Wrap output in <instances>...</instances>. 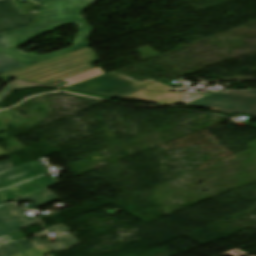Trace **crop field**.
I'll list each match as a JSON object with an SVG mask.
<instances>
[{"label": "crop field", "mask_w": 256, "mask_h": 256, "mask_svg": "<svg viewBox=\"0 0 256 256\" xmlns=\"http://www.w3.org/2000/svg\"><path fill=\"white\" fill-rule=\"evenodd\" d=\"M23 211H25V209L19 208L13 204H7L0 207V224L8 231V233L33 225L41 221L44 217L58 212L55 211L53 213L34 218L29 217Z\"/></svg>", "instance_id": "dd49c442"}, {"label": "crop field", "mask_w": 256, "mask_h": 256, "mask_svg": "<svg viewBox=\"0 0 256 256\" xmlns=\"http://www.w3.org/2000/svg\"><path fill=\"white\" fill-rule=\"evenodd\" d=\"M87 7L89 5L85 0H46L42 4L37 25L5 34L10 47L0 48V53L29 65L89 46L86 40L92 27H88L79 15ZM72 23L80 25V29L73 41L74 46L72 47L44 56H37L32 52L24 55L20 53L21 51L15 49L42 33Z\"/></svg>", "instance_id": "8a807250"}, {"label": "crop field", "mask_w": 256, "mask_h": 256, "mask_svg": "<svg viewBox=\"0 0 256 256\" xmlns=\"http://www.w3.org/2000/svg\"><path fill=\"white\" fill-rule=\"evenodd\" d=\"M58 241L54 243H47L43 241L42 239H34V240H19L17 241L18 244H20L24 251L32 249L34 247L43 245L49 249H51L53 252L61 251L67 249L69 246L78 243L71 235L66 237L57 238Z\"/></svg>", "instance_id": "3316defc"}, {"label": "crop field", "mask_w": 256, "mask_h": 256, "mask_svg": "<svg viewBox=\"0 0 256 256\" xmlns=\"http://www.w3.org/2000/svg\"><path fill=\"white\" fill-rule=\"evenodd\" d=\"M9 46L5 35H0V47ZM26 66L16 60H13L5 55L0 54V74Z\"/></svg>", "instance_id": "d1516ede"}, {"label": "crop field", "mask_w": 256, "mask_h": 256, "mask_svg": "<svg viewBox=\"0 0 256 256\" xmlns=\"http://www.w3.org/2000/svg\"><path fill=\"white\" fill-rule=\"evenodd\" d=\"M51 252L50 250L40 246V247H37V248H34L32 250H29V251H26L25 254L27 256H42L46 253H49Z\"/></svg>", "instance_id": "d9b57169"}, {"label": "crop field", "mask_w": 256, "mask_h": 256, "mask_svg": "<svg viewBox=\"0 0 256 256\" xmlns=\"http://www.w3.org/2000/svg\"><path fill=\"white\" fill-rule=\"evenodd\" d=\"M170 87L162 84L154 85L152 87L146 88L144 90H155V91H169ZM183 93H173V92H152V91H139L137 93L121 97L120 99H135L142 101L154 102L159 105L175 103L180 100Z\"/></svg>", "instance_id": "5a996713"}, {"label": "crop field", "mask_w": 256, "mask_h": 256, "mask_svg": "<svg viewBox=\"0 0 256 256\" xmlns=\"http://www.w3.org/2000/svg\"><path fill=\"white\" fill-rule=\"evenodd\" d=\"M100 75H103V72L101 71L100 67L94 68L89 71L74 75V76L66 78V79H63L64 81L70 83L63 87H67L69 85H72V84H75V83H78V82H81V81H84L87 79H91V78H94V77H97Z\"/></svg>", "instance_id": "cbeb9de0"}, {"label": "crop field", "mask_w": 256, "mask_h": 256, "mask_svg": "<svg viewBox=\"0 0 256 256\" xmlns=\"http://www.w3.org/2000/svg\"><path fill=\"white\" fill-rule=\"evenodd\" d=\"M188 105L205 107L225 113L243 109L250 115L256 116V90L231 91L213 93Z\"/></svg>", "instance_id": "34b2d1b8"}, {"label": "crop field", "mask_w": 256, "mask_h": 256, "mask_svg": "<svg viewBox=\"0 0 256 256\" xmlns=\"http://www.w3.org/2000/svg\"><path fill=\"white\" fill-rule=\"evenodd\" d=\"M37 14H22L13 0H0V33L34 25Z\"/></svg>", "instance_id": "f4fd0767"}, {"label": "crop field", "mask_w": 256, "mask_h": 256, "mask_svg": "<svg viewBox=\"0 0 256 256\" xmlns=\"http://www.w3.org/2000/svg\"><path fill=\"white\" fill-rule=\"evenodd\" d=\"M99 59L88 47L66 55L32 64L0 76L50 84L71 75L94 68Z\"/></svg>", "instance_id": "ac0d7876"}, {"label": "crop field", "mask_w": 256, "mask_h": 256, "mask_svg": "<svg viewBox=\"0 0 256 256\" xmlns=\"http://www.w3.org/2000/svg\"><path fill=\"white\" fill-rule=\"evenodd\" d=\"M11 241L12 240L8 235L0 237V245L6 244V243L11 242Z\"/></svg>", "instance_id": "bc2a9ffb"}, {"label": "crop field", "mask_w": 256, "mask_h": 256, "mask_svg": "<svg viewBox=\"0 0 256 256\" xmlns=\"http://www.w3.org/2000/svg\"><path fill=\"white\" fill-rule=\"evenodd\" d=\"M20 252L19 247L13 243L0 247V256H12Z\"/></svg>", "instance_id": "5142ce71"}, {"label": "crop field", "mask_w": 256, "mask_h": 256, "mask_svg": "<svg viewBox=\"0 0 256 256\" xmlns=\"http://www.w3.org/2000/svg\"><path fill=\"white\" fill-rule=\"evenodd\" d=\"M154 84H158V82L147 80L138 83L114 72H110L103 76L69 86L68 88L119 97Z\"/></svg>", "instance_id": "412701ff"}, {"label": "crop field", "mask_w": 256, "mask_h": 256, "mask_svg": "<svg viewBox=\"0 0 256 256\" xmlns=\"http://www.w3.org/2000/svg\"><path fill=\"white\" fill-rule=\"evenodd\" d=\"M37 161L19 166L15 169L0 174V189L10 187L24 180L47 173Z\"/></svg>", "instance_id": "e52e79f7"}, {"label": "crop field", "mask_w": 256, "mask_h": 256, "mask_svg": "<svg viewBox=\"0 0 256 256\" xmlns=\"http://www.w3.org/2000/svg\"><path fill=\"white\" fill-rule=\"evenodd\" d=\"M87 2H88V4L90 5V4H92L94 1H96V0H86Z\"/></svg>", "instance_id": "dafd665d"}, {"label": "crop field", "mask_w": 256, "mask_h": 256, "mask_svg": "<svg viewBox=\"0 0 256 256\" xmlns=\"http://www.w3.org/2000/svg\"><path fill=\"white\" fill-rule=\"evenodd\" d=\"M6 154L7 153L0 148V157L3 156V155H6Z\"/></svg>", "instance_id": "92a150f3"}, {"label": "crop field", "mask_w": 256, "mask_h": 256, "mask_svg": "<svg viewBox=\"0 0 256 256\" xmlns=\"http://www.w3.org/2000/svg\"><path fill=\"white\" fill-rule=\"evenodd\" d=\"M46 231L48 233L53 232L54 234L58 235V234L66 232V231H69V229L64 227V226H62V225H60V224H58V225H56L54 227L46 229Z\"/></svg>", "instance_id": "733c2abd"}, {"label": "crop field", "mask_w": 256, "mask_h": 256, "mask_svg": "<svg viewBox=\"0 0 256 256\" xmlns=\"http://www.w3.org/2000/svg\"><path fill=\"white\" fill-rule=\"evenodd\" d=\"M3 204L2 201L0 200V205Z\"/></svg>", "instance_id": "4177f3b9"}, {"label": "crop field", "mask_w": 256, "mask_h": 256, "mask_svg": "<svg viewBox=\"0 0 256 256\" xmlns=\"http://www.w3.org/2000/svg\"><path fill=\"white\" fill-rule=\"evenodd\" d=\"M34 1H36V2H38V3L41 4V2H42L43 0H34Z\"/></svg>", "instance_id": "00972430"}, {"label": "crop field", "mask_w": 256, "mask_h": 256, "mask_svg": "<svg viewBox=\"0 0 256 256\" xmlns=\"http://www.w3.org/2000/svg\"><path fill=\"white\" fill-rule=\"evenodd\" d=\"M25 200H30L34 203L25 206L27 209L31 210L40 206H44L47 204H50L54 201L59 200L58 197H56L53 193H51L49 190L45 189L40 192L34 193L32 195L26 196L24 198H21L19 200L13 201L15 204H18L20 202H23Z\"/></svg>", "instance_id": "28ad6ade"}, {"label": "crop field", "mask_w": 256, "mask_h": 256, "mask_svg": "<svg viewBox=\"0 0 256 256\" xmlns=\"http://www.w3.org/2000/svg\"><path fill=\"white\" fill-rule=\"evenodd\" d=\"M15 256H23V255H22V253H20V254H17V255H15Z\"/></svg>", "instance_id": "a9b5d70f"}, {"label": "crop field", "mask_w": 256, "mask_h": 256, "mask_svg": "<svg viewBox=\"0 0 256 256\" xmlns=\"http://www.w3.org/2000/svg\"><path fill=\"white\" fill-rule=\"evenodd\" d=\"M34 86L60 88V87L51 86V85L31 83L23 80H14L0 91V101H2L6 96H8L14 89L28 88V87H34Z\"/></svg>", "instance_id": "22f410ed"}, {"label": "crop field", "mask_w": 256, "mask_h": 256, "mask_svg": "<svg viewBox=\"0 0 256 256\" xmlns=\"http://www.w3.org/2000/svg\"><path fill=\"white\" fill-rule=\"evenodd\" d=\"M6 231L0 226V236L6 235Z\"/></svg>", "instance_id": "214f88e0"}, {"label": "crop field", "mask_w": 256, "mask_h": 256, "mask_svg": "<svg viewBox=\"0 0 256 256\" xmlns=\"http://www.w3.org/2000/svg\"><path fill=\"white\" fill-rule=\"evenodd\" d=\"M12 165L11 163L9 162V160L7 161H4V162H0V173L1 172H4V171H7L9 169H12Z\"/></svg>", "instance_id": "4a817a6b"}, {"label": "crop field", "mask_w": 256, "mask_h": 256, "mask_svg": "<svg viewBox=\"0 0 256 256\" xmlns=\"http://www.w3.org/2000/svg\"><path fill=\"white\" fill-rule=\"evenodd\" d=\"M56 184H58L56 179L51 180L48 177L43 176L36 180L29 181L23 185L16 186L14 188L7 189L5 191H1L0 199L3 201V203L9 202Z\"/></svg>", "instance_id": "d8731c3e"}]
</instances>
